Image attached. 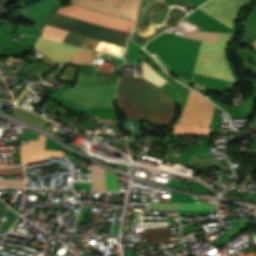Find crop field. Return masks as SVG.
I'll return each mask as SVG.
<instances>
[{"instance_id": "crop-field-1", "label": "crop field", "mask_w": 256, "mask_h": 256, "mask_svg": "<svg viewBox=\"0 0 256 256\" xmlns=\"http://www.w3.org/2000/svg\"><path fill=\"white\" fill-rule=\"evenodd\" d=\"M143 72L144 79L121 78L117 89V107L129 117L170 124L175 101L159 88L167 81L144 62Z\"/></svg>"}, {"instance_id": "crop-field-2", "label": "crop field", "mask_w": 256, "mask_h": 256, "mask_svg": "<svg viewBox=\"0 0 256 256\" xmlns=\"http://www.w3.org/2000/svg\"><path fill=\"white\" fill-rule=\"evenodd\" d=\"M231 35L221 33L214 45L202 42L194 71L234 81L229 66L223 57V48Z\"/></svg>"}, {"instance_id": "crop-field-3", "label": "crop field", "mask_w": 256, "mask_h": 256, "mask_svg": "<svg viewBox=\"0 0 256 256\" xmlns=\"http://www.w3.org/2000/svg\"><path fill=\"white\" fill-rule=\"evenodd\" d=\"M214 105L194 91H190L181 119L177 124L209 126Z\"/></svg>"}, {"instance_id": "crop-field-4", "label": "crop field", "mask_w": 256, "mask_h": 256, "mask_svg": "<svg viewBox=\"0 0 256 256\" xmlns=\"http://www.w3.org/2000/svg\"><path fill=\"white\" fill-rule=\"evenodd\" d=\"M56 13L64 14L74 18L82 19L85 21L92 22L94 24L112 27L115 29L123 30L126 32L131 31L135 22L101 14L88 9H84L74 5H68L60 8Z\"/></svg>"}, {"instance_id": "crop-field-5", "label": "crop field", "mask_w": 256, "mask_h": 256, "mask_svg": "<svg viewBox=\"0 0 256 256\" xmlns=\"http://www.w3.org/2000/svg\"><path fill=\"white\" fill-rule=\"evenodd\" d=\"M249 0H210L200 6V10L225 23L232 26V22L240 10Z\"/></svg>"}, {"instance_id": "crop-field-6", "label": "crop field", "mask_w": 256, "mask_h": 256, "mask_svg": "<svg viewBox=\"0 0 256 256\" xmlns=\"http://www.w3.org/2000/svg\"><path fill=\"white\" fill-rule=\"evenodd\" d=\"M45 138L40 135L38 141H29V145H21V164L46 159L45 156H61L64 154L62 151L44 150Z\"/></svg>"}, {"instance_id": "crop-field-7", "label": "crop field", "mask_w": 256, "mask_h": 256, "mask_svg": "<svg viewBox=\"0 0 256 256\" xmlns=\"http://www.w3.org/2000/svg\"><path fill=\"white\" fill-rule=\"evenodd\" d=\"M36 48L48 54L52 59L65 63H69L79 50V48L49 41L43 38L38 41Z\"/></svg>"}, {"instance_id": "crop-field-8", "label": "crop field", "mask_w": 256, "mask_h": 256, "mask_svg": "<svg viewBox=\"0 0 256 256\" xmlns=\"http://www.w3.org/2000/svg\"><path fill=\"white\" fill-rule=\"evenodd\" d=\"M200 202H206L199 199ZM148 209L155 210H185V209H217L216 205L206 203H149Z\"/></svg>"}, {"instance_id": "crop-field-9", "label": "crop field", "mask_w": 256, "mask_h": 256, "mask_svg": "<svg viewBox=\"0 0 256 256\" xmlns=\"http://www.w3.org/2000/svg\"><path fill=\"white\" fill-rule=\"evenodd\" d=\"M143 234L146 238L148 245H154L159 242H165L170 240L168 226L156 229H144Z\"/></svg>"}, {"instance_id": "crop-field-10", "label": "crop field", "mask_w": 256, "mask_h": 256, "mask_svg": "<svg viewBox=\"0 0 256 256\" xmlns=\"http://www.w3.org/2000/svg\"><path fill=\"white\" fill-rule=\"evenodd\" d=\"M92 190L104 191L103 168L91 165Z\"/></svg>"}, {"instance_id": "crop-field-11", "label": "crop field", "mask_w": 256, "mask_h": 256, "mask_svg": "<svg viewBox=\"0 0 256 256\" xmlns=\"http://www.w3.org/2000/svg\"><path fill=\"white\" fill-rule=\"evenodd\" d=\"M69 32L62 31L53 27L44 26L42 29V36L50 39L58 40L64 42Z\"/></svg>"}, {"instance_id": "crop-field-12", "label": "crop field", "mask_w": 256, "mask_h": 256, "mask_svg": "<svg viewBox=\"0 0 256 256\" xmlns=\"http://www.w3.org/2000/svg\"><path fill=\"white\" fill-rule=\"evenodd\" d=\"M219 35L220 33L193 31L186 37L214 44Z\"/></svg>"}, {"instance_id": "crop-field-13", "label": "crop field", "mask_w": 256, "mask_h": 256, "mask_svg": "<svg viewBox=\"0 0 256 256\" xmlns=\"http://www.w3.org/2000/svg\"><path fill=\"white\" fill-rule=\"evenodd\" d=\"M174 133L182 134H210L209 128L176 125Z\"/></svg>"}, {"instance_id": "crop-field-14", "label": "crop field", "mask_w": 256, "mask_h": 256, "mask_svg": "<svg viewBox=\"0 0 256 256\" xmlns=\"http://www.w3.org/2000/svg\"><path fill=\"white\" fill-rule=\"evenodd\" d=\"M104 179H105V191L117 192V188H118L117 175L104 169Z\"/></svg>"}, {"instance_id": "crop-field-15", "label": "crop field", "mask_w": 256, "mask_h": 256, "mask_svg": "<svg viewBox=\"0 0 256 256\" xmlns=\"http://www.w3.org/2000/svg\"><path fill=\"white\" fill-rule=\"evenodd\" d=\"M92 53L93 52L91 51L80 49V51L74 57L72 64H77V63L91 64L93 61Z\"/></svg>"}, {"instance_id": "crop-field-16", "label": "crop field", "mask_w": 256, "mask_h": 256, "mask_svg": "<svg viewBox=\"0 0 256 256\" xmlns=\"http://www.w3.org/2000/svg\"><path fill=\"white\" fill-rule=\"evenodd\" d=\"M0 186L25 187L24 180H0Z\"/></svg>"}, {"instance_id": "crop-field-17", "label": "crop field", "mask_w": 256, "mask_h": 256, "mask_svg": "<svg viewBox=\"0 0 256 256\" xmlns=\"http://www.w3.org/2000/svg\"><path fill=\"white\" fill-rule=\"evenodd\" d=\"M4 174H23V168L20 167H14V168H4L0 169V175Z\"/></svg>"}, {"instance_id": "crop-field-18", "label": "crop field", "mask_w": 256, "mask_h": 256, "mask_svg": "<svg viewBox=\"0 0 256 256\" xmlns=\"http://www.w3.org/2000/svg\"><path fill=\"white\" fill-rule=\"evenodd\" d=\"M2 83H3V82H2V80L0 79V87H1Z\"/></svg>"}, {"instance_id": "crop-field-19", "label": "crop field", "mask_w": 256, "mask_h": 256, "mask_svg": "<svg viewBox=\"0 0 256 256\" xmlns=\"http://www.w3.org/2000/svg\"><path fill=\"white\" fill-rule=\"evenodd\" d=\"M255 49H256V45H255Z\"/></svg>"}]
</instances>
